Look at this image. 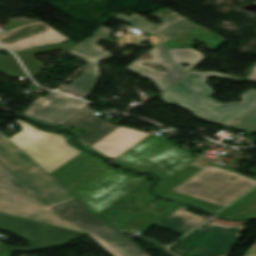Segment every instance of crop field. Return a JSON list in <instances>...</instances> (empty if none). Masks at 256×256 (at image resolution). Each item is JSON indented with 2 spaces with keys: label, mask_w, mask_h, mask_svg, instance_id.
<instances>
[{
  "label": "crop field",
  "mask_w": 256,
  "mask_h": 256,
  "mask_svg": "<svg viewBox=\"0 0 256 256\" xmlns=\"http://www.w3.org/2000/svg\"><path fill=\"white\" fill-rule=\"evenodd\" d=\"M114 160L124 165L158 170L164 177H170L196 159L192 153L151 135Z\"/></svg>",
  "instance_id": "e52e79f7"
},
{
  "label": "crop field",
  "mask_w": 256,
  "mask_h": 256,
  "mask_svg": "<svg viewBox=\"0 0 256 256\" xmlns=\"http://www.w3.org/2000/svg\"><path fill=\"white\" fill-rule=\"evenodd\" d=\"M232 177L236 179L230 181ZM255 185L247 177L208 165L171 191L224 207Z\"/></svg>",
  "instance_id": "412701ff"
},
{
  "label": "crop field",
  "mask_w": 256,
  "mask_h": 256,
  "mask_svg": "<svg viewBox=\"0 0 256 256\" xmlns=\"http://www.w3.org/2000/svg\"><path fill=\"white\" fill-rule=\"evenodd\" d=\"M203 220L205 218L178 208L156 226L184 234Z\"/></svg>",
  "instance_id": "92a150f3"
},
{
  "label": "crop field",
  "mask_w": 256,
  "mask_h": 256,
  "mask_svg": "<svg viewBox=\"0 0 256 256\" xmlns=\"http://www.w3.org/2000/svg\"><path fill=\"white\" fill-rule=\"evenodd\" d=\"M112 35V30L105 27H100L97 31L94 32L92 38H86L75 47H73L68 53L76 55L86 61L87 57H95L99 54L106 52L104 49L100 48L96 44Z\"/></svg>",
  "instance_id": "dafd665d"
},
{
  "label": "crop field",
  "mask_w": 256,
  "mask_h": 256,
  "mask_svg": "<svg viewBox=\"0 0 256 256\" xmlns=\"http://www.w3.org/2000/svg\"><path fill=\"white\" fill-rule=\"evenodd\" d=\"M165 195H169V196H182V197H187V196H184V195H181V194H177V193H174V192H167ZM187 198H190V197H187ZM193 199V198H191ZM196 200V199H194ZM197 201H200V200H197ZM203 203L205 209L215 213L217 212L218 210H220L222 207H219V206H216V205H212V204H209V203H206V202H203V201H200Z\"/></svg>",
  "instance_id": "d3111659"
},
{
  "label": "crop field",
  "mask_w": 256,
  "mask_h": 256,
  "mask_svg": "<svg viewBox=\"0 0 256 256\" xmlns=\"http://www.w3.org/2000/svg\"><path fill=\"white\" fill-rule=\"evenodd\" d=\"M150 54L153 56L155 60H135L132 64L127 66V68L128 70L134 73L141 74L153 80L162 92L167 86H169L172 82H174L185 72L180 68L176 67L175 65H173L174 63L172 64L168 52L163 44L152 48ZM141 62L163 64L167 68V71L165 73L155 71L149 67L141 65Z\"/></svg>",
  "instance_id": "cbeb9de0"
},
{
  "label": "crop field",
  "mask_w": 256,
  "mask_h": 256,
  "mask_svg": "<svg viewBox=\"0 0 256 256\" xmlns=\"http://www.w3.org/2000/svg\"><path fill=\"white\" fill-rule=\"evenodd\" d=\"M169 51L171 53L173 61L178 66L182 67L186 72L200 59L203 58L202 54L193 49H169ZM179 63H190V66L186 68L184 66H181Z\"/></svg>",
  "instance_id": "a9b5d70f"
},
{
  "label": "crop field",
  "mask_w": 256,
  "mask_h": 256,
  "mask_svg": "<svg viewBox=\"0 0 256 256\" xmlns=\"http://www.w3.org/2000/svg\"><path fill=\"white\" fill-rule=\"evenodd\" d=\"M102 165L82 152L49 175L68 190Z\"/></svg>",
  "instance_id": "733c2abd"
},
{
  "label": "crop field",
  "mask_w": 256,
  "mask_h": 256,
  "mask_svg": "<svg viewBox=\"0 0 256 256\" xmlns=\"http://www.w3.org/2000/svg\"><path fill=\"white\" fill-rule=\"evenodd\" d=\"M146 178L129 176L105 166L69 192L96 215Z\"/></svg>",
  "instance_id": "dd49c442"
},
{
  "label": "crop field",
  "mask_w": 256,
  "mask_h": 256,
  "mask_svg": "<svg viewBox=\"0 0 256 256\" xmlns=\"http://www.w3.org/2000/svg\"><path fill=\"white\" fill-rule=\"evenodd\" d=\"M94 112L96 111L88 107L63 124L65 126L85 128L87 130L86 133L78 137L87 147L92 146L119 127L99 118L93 114Z\"/></svg>",
  "instance_id": "d9b57169"
},
{
  "label": "crop field",
  "mask_w": 256,
  "mask_h": 256,
  "mask_svg": "<svg viewBox=\"0 0 256 256\" xmlns=\"http://www.w3.org/2000/svg\"><path fill=\"white\" fill-rule=\"evenodd\" d=\"M15 121L22 130L9 139L48 173L81 153L69 146L60 135L42 132L20 119Z\"/></svg>",
  "instance_id": "d8731c3e"
},
{
  "label": "crop field",
  "mask_w": 256,
  "mask_h": 256,
  "mask_svg": "<svg viewBox=\"0 0 256 256\" xmlns=\"http://www.w3.org/2000/svg\"><path fill=\"white\" fill-rule=\"evenodd\" d=\"M127 12L131 13L132 15L130 17L119 13L115 16V18L120 19L122 21H125L127 23H130L150 34L157 35L163 42L174 38L181 33L190 30L191 28H194L198 26L197 24L179 16H176L160 25L151 23L144 18L126 10Z\"/></svg>",
  "instance_id": "5142ce71"
},
{
  "label": "crop field",
  "mask_w": 256,
  "mask_h": 256,
  "mask_svg": "<svg viewBox=\"0 0 256 256\" xmlns=\"http://www.w3.org/2000/svg\"><path fill=\"white\" fill-rule=\"evenodd\" d=\"M0 212L83 232L28 196L5 190H0Z\"/></svg>",
  "instance_id": "28ad6ade"
},
{
  "label": "crop field",
  "mask_w": 256,
  "mask_h": 256,
  "mask_svg": "<svg viewBox=\"0 0 256 256\" xmlns=\"http://www.w3.org/2000/svg\"><path fill=\"white\" fill-rule=\"evenodd\" d=\"M148 134L120 127L90 148L113 159Z\"/></svg>",
  "instance_id": "4a817a6b"
},
{
  "label": "crop field",
  "mask_w": 256,
  "mask_h": 256,
  "mask_svg": "<svg viewBox=\"0 0 256 256\" xmlns=\"http://www.w3.org/2000/svg\"><path fill=\"white\" fill-rule=\"evenodd\" d=\"M0 188L28 194L48 208L75 200L2 132H0Z\"/></svg>",
  "instance_id": "8a807250"
},
{
  "label": "crop field",
  "mask_w": 256,
  "mask_h": 256,
  "mask_svg": "<svg viewBox=\"0 0 256 256\" xmlns=\"http://www.w3.org/2000/svg\"><path fill=\"white\" fill-rule=\"evenodd\" d=\"M230 127L256 133V107L246 113Z\"/></svg>",
  "instance_id": "ae1a2a85"
},
{
  "label": "crop field",
  "mask_w": 256,
  "mask_h": 256,
  "mask_svg": "<svg viewBox=\"0 0 256 256\" xmlns=\"http://www.w3.org/2000/svg\"><path fill=\"white\" fill-rule=\"evenodd\" d=\"M245 256H256V243L251 247Z\"/></svg>",
  "instance_id": "bd1437ed"
},
{
  "label": "crop field",
  "mask_w": 256,
  "mask_h": 256,
  "mask_svg": "<svg viewBox=\"0 0 256 256\" xmlns=\"http://www.w3.org/2000/svg\"><path fill=\"white\" fill-rule=\"evenodd\" d=\"M67 40V37L41 21L0 33V44L16 52Z\"/></svg>",
  "instance_id": "d1516ede"
},
{
  "label": "crop field",
  "mask_w": 256,
  "mask_h": 256,
  "mask_svg": "<svg viewBox=\"0 0 256 256\" xmlns=\"http://www.w3.org/2000/svg\"><path fill=\"white\" fill-rule=\"evenodd\" d=\"M0 229L16 232L18 236L29 240L32 248L10 249L0 247V256H9L10 250H40L65 244L83 233L72 230L32 222L0 213Z\"/></svg>",
  "instance_id": "3316defc"
},
{
  "label": "crop field",
  "mask_w": 256,
  "mask_h": 256,
  "mask_svg": "<svg viewBox=\"0 0 256 256\" xmlns=\"http://www.w3.org/2000/svg\"><path fill=\"white\" fill-rule=\"evenodd\" d=\"M201 168L191 164L185 169H183L181 172L173 176L171 179H169L159 187L155 188V190L159 192L161 195H163L164 193L175 187L177 184H179L180 182H182L183 180H185L186 178H188Z\"/></svg>",
  "instance_id": "4177f3b9"
},
{
  "label": "crop field",
  "mask_w": 256,
  "mask_h": 256,
  "mask_svg": "<svg viewBox=\"0 0 256 256\" xmlns=\"http://www.w3.org/2000/svg\"><path fill=\"white\" fill-rule=\"evenodd\" d=\"M52 211L89 233L113 256H149L131 238L109 224L104 225L88 208L77 200L50 208Z\"/></svg>",
  "instance_id": "f4fd0767"
},
{
  "label": "crop field",
  "mask_w": 256,
  "mask_h": 256,
  "mask_svg": "<svg viewBox=\"0 0 256 256\" xmlns=\"http://www.w3.org/2000/svg\"><path fill=\"white\" fill-rule=\"evenodd\" d=\"M250 71L252 72V74L246 80L256 81V66L253 67Z\"/></svg>",
  "instance_id": "1d83c4d3"
},
{
  "label": "crop field",
  "mask_w": 256,
  "mask_h": 256,
  "mask_svg": "<svg viewBox=\"0 0 256 256\" xmlns=\"http://www.w3.org/2000/svg\"><path fill=\"white\" fill-rule=\"evenodd\" d=\"M244 228V225L227 226L210 221L184 236L174 253L182 256H229Z\"/></svg>",
  "instance_id": "5a996713"
},
{
  "label": "crop field",
  "mask_w": 256,
  "mask_h": 256,
  "mask_svg": "<svg viewBox=\"0 0 256 256\" xmlns=\"http://www.w3.org/2000/svg\"><path fill=\"white\" fill-rule=\"evenodd\" d=\"M75 45H76L75 43H73L72 41H69V42L61 44V45L49 46V47L33 50L29 53L20 54V55H18V57L20 58L23 65L25 66V68L28 70V72L32 76V75L36 74L37 72H39L40 70L44 69V67L41 65V63L33 58V56H32L33 54L50 51V50H54V49H59V50L67 52Z\"/></svg>",
  "instance_id": "00972430"
},
{
  "label": "crop field",
  "mask_w": 256,
  "mask_h": 256,
  "mask_svg": "<svg viewBox=\"0 0 256 256\" xmlns=\"http://www.w3.org/2000/svg\"><path fill=\"white\" fill-rule=\"evenodd\" d=\"M0 49H2V48L0 47Z\"/></svg>",
  "instance_id": "d32e631a"
},
{
  "label": "crop field",
  "mask_w": 256,
  "mask_h": 256,
  "mask_svg": "<svg viewBox=\"0 0 256 256\" xmlns=\"http://www.w3.org/2000/svg\"><path fill=\"white\" fill-rule=\"evenodd\" d=\"M147 181L148 179L96 216L104 224L110 223L123 232L144 233L181 206L168 201L143 206L149 199L142 192Z\"/></svg>",
  "instance_id": "34b2d1b8"
},
{
  "label": "crop field",
  "mask_w": 256,
  "mask_h": 256,
  "mask_svg": "<svg viewBox=\"0 0 256 256\" xmlns=\"http://www.w3.org/2000/svg\"><path fill=\"white\" fill-rule=\"evenodd\" d=\"M108 57H111L109 53L91 60L81 77L73 80L72 84L66 85L62 89L77 92L79 93V97L81 98L91 94L94 86L99 79L96 64Z\"/></svg>",
  "instance_id": "214f88e0"
},
{
  "label": "crop field",
  "mask_w": 256,
  "mask_h": 256,
  "mask_svg": "<svg viewBox=\"0 0 256 256\" xmlns=\"http://www.w3.org/2000/svg\"><path fill=\"white\" fill-rule=\"evenodd\" d=\"M253 213H256V201L253 204H251L250 206H248L247 208H245L244 210H242L241 212H239L238 214L236 213L237 215H235V216H239V215H243V214H253Z\"/></svg>",
  "instance_id": "750c4746"
},
{
  "label": "crop field",
  "mask_w": 256,
  "mask_h": 256,
  "mask_svg": "<svg viewBox=\"0 0 256 256\" xmlns=\"http://www.w3.org/2000/svg\"><path fill=\"white\" fill-rule=\"evenodd\" d=\"M256 200V188L250 191L248 194L243 196L241 199L230 205L229 207L225 208L221 212L216 215L223 216V217H232L251 203Z\"/></svg>",
  "instance_id": "730fd06b"
},
{
  "label": "crop field",
  "mask_w": 256,
  "mask_h": 256,
  "mask_svg": "<svg viewBox=\"0 0 256 256\" xmlns=\"http://www.w3.org/2000/svg\"><path fill=\"white\" fill-rule=\"evenodd\" d=\"M149 38V41L151 42V45L152 44H157V43H159V42H161L157 37H155V36H150V37H148Z\"/></svg>",
  "instance_id": "120bbe31"
},
{
  "label": "crop field",
  "mask_w": 256,
  "mask_h": 256,
  "mask_svg": "<svg viewBox=\"0 0 256 256\" xmlns=\"http://www.w3.org/2000/svg\"><path fill=\"white\" fill-rule=\"evenodd\" d=\"M194 40L201 41L208 47L209 50L212 51H215L227 42L214 32L203 27H199L172 40H169L164 44L167 46V48H191Z\"/></svg>",
  "instance_id": "bc2a9ffb"
},
{
  "label": "crop field",
  "mask_w": 256,
  "mask_h": 256,
  "mask_svg": "<svg viewBox=\"0 0 256 256\" xmlns=\"http://www.w3.org/2000/svg\"><path fill=\"white\" fill-rule=\"evenodd\" d=\"M86 102L76 98L61 97L49 92L39 98L24 113L27 116L38 114V120H46L53 124H62L87 107Z\"/></svg>",
  "instance_id": "22f410ed"
},
{
  "label": "crop field",
  "mask_w": 256,
  "mask_h": 256,
  "mask_svg": "<svg viewBox=\"0 0 256 256\" xmlns=\"http://www.w3.org/2000/svg\"><path fill=\"white\" fill-rule=\"evenodd\" d=\"M208 76L239 79L216 72L200 73L191 71L161 97L168 103H177L191 110L200 118L226 126H229L256 106V90L253 89L240 96L243 98L240 103L222 104L212 100L209 96L213 95L214 91L205 84L204 79Z\"/></svg>",
  "instance_id": "ac0d7876"
},
{
  "label": "crop field",
  "mask_w": 256,
  "mask_h": 256,
  "mask_svg": "<svg viewBox=\"0 0 256 256\" xmlns=\"http://www.w3.org/2000/svg\"><path fill=\"white\" fill-rule=\"evenodd\" d=\"M0 71L15 77H27V74L15 60L13 55L3 56L0 55Z\"/></svg>",
  "instance_id": "eef30255"
}]
</instances>
